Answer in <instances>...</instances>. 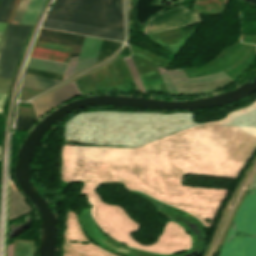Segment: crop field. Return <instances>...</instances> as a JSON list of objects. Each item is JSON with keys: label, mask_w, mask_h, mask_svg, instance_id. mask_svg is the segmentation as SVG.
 Listing matches in <instances>:
<instances>
[{"label": "crop field", "mask_w": 256, "mask_h": 256, "mask_svg": "<svg viewBox=\"0 0 256 256\" xmlns=\"http://www.w3.org/2000/svg\"><path fill=\"white\" fill-rule=\"evenodd\" d=\"M48 17L122 31L121 0H58Z\"/></svg>", "instance_id": "8a807250"}, {"label": "crop field", "mask_w": 256, "mask_h": 256, "mask_svg": "<svg viewBox=\"0 0 256 256\" xmlns=\"http://www.w3.org/2000/svg\"><path fill=\"white\" fill-rule=\"evenodd\" d=\"M30 27L7 24L0 46V77H12L23 41Z\"/></svg>", "instance_id": "ac0d7876"}, {"label": "crop field", "mask_w": 256, "mask_h": 256, "mask_svg": "<svg viewBox=\"0 0 256 256\" xmlns=\"http://www.w3.org/2000/svg\"><path fill=\"white\" fill-rule=\"evenodd\" d=\"M200 15L178 5L152 16L145 28L146 34L200 22Z\"/></svg>", "instance_id": "34b2d1b8"}, {"label": "crop field", "mask_w": 256, "mask_h": 256, "mask_svg": "<svg viewBox=\"0 0 256 256\" xmlns=\"http://www.w3.org/2000/svg\"><path fill=\"white\" fill-rule=\"evenodd\" d=\"M42 27L107 39L121 40L123 32L46 18Z\"/></svg>", "instance_id": "412701ff"}, {"label": "crop field", "mask_w": 256, "mask_h": 256, "mask_svg": "<svg viewBox=\"0 0 256 256\" xmlns=\"http://www.w3.org/2000/svg\"><path fill=\"white\" fill-rule=\"evenodd\" d=\"M79 94L74 82L65 85L41 98L32 101L38 117L42 116L51 108Z\"/></svg>", "instance_id": "f4fd0767"}, {"label": "crop field", "mask_w": 256, "mask_h": 256, "mask_svg": "<svg viewBox=\"0 0 256 256\" xmlns=\"http://www.w3.org/2000/svg\"><path fill=\"white\" fill-rule=\"evenodd\" d=\"M101 40L102 39H99V38H93V37H87V36L84 37V41H83L80 56L77 62V66L75 69V73L83 69H86L96 63Z\"/></svg>", "instance_id": "dd49c442"}, {"label": "crop field", "mask_w": 256, "mask_h": 256, "mask_svg": "<svg viewBox=\"0 0 256 256\" xmlns=\"http://www.w3.org/2000/svg\"><path fill=\"white\" fill-rule=\"evenodd\" d=\"M76 34L41 28L36 39L72 45Z\"/></svg>", "instance_id": "e52e79f7"}, {"label": "crop field", "mask_w": 256, "mask_h": 256, "mask_svg": "<svg viewBox=\"0 0 256 256\" xmlns=\"http://www.w3.org/2000/svg\"><path fill=\"white\" fill-rule=\"evenodd\" d=\"M26 67L45 70V71H51L56 73H62V74H64L66 69L65 63H59V62L42 60V59L31 58V57L28 58Z\"/></svg>", "instance_id": "d8731c3e"}, {"label": "crop field", "mask_w": 256, "mask_h": 256, "mask_svg": "<svg viewBox=\"0 0 256 256\" xmlns=\"http://www.w3.org/2000/svg\"><path fill=\"white\" fill-rule=\"evenodd\" d=\"M24 199L20 194L11 189L10 221L29 213L31 210Z\"/></svg>", "instance_id": "5a996713"}, {"label": "crop field", "mask_w": 256, "mask_h": 256, "mask_svg": "<svg viewBox=\"0 0 256 256\" xmlns=\"http://www.w3.org/2000/svg\"><path fill=\"white\" fill-rule=\"evenodd\" d=\"M47 0H30L20 23L35 25Z\"/></svg>", "instance_id": "3316defc"}, {"label": "crop field", "mask_w": 256, "mask_h": 256, "mask_svg": "<svg viewBox=\"0 0 256 256\" xmlns=\"http://www.w3.org/2000/svg\"><path fill=\"white\" fill-rule=\"evenodd\" d=\"M58 82L59 80H53V79L24 74L22 85L46 89Z\"/></svg>", "instance_id": "28ad6ade"}, {"label": "crop field", "mask_w": 256, "mask_h": 256, "mask_svg": "<svg viewBox=\"0 0 256 256\" xmlns=\"http://www.w3.org/2000/svg\"><path fill=\"white\" fill-rule=\"evenodd\" d=\"M83 37L84 36H81V35L76 36L75 43H74V46H73L72 53H71L70 57H78L79 51H80V48H81V44H82V41H83ZM77 59L78 58H70L69 59L64 79L72 76L75 65H76V62H77Z\"/></svg>", "instance_id": "d1516ede"}, {"label": "crop field", "mask_w": 256, "mask_h": 256, "mask_svg": "<svg viewBox=\"0 0 256 256\" xmlns=\"http://www.w3.org/2000/svg\"><path fill=\"white\" fill-rule=\"evenodd\" d=\"M119 43L108 41V40H102L100 52L98 55L97 63L102 61L104 58L108 57L112 54L114 50L117 49Z\"/></svg>", "instance_id": "22f410ed"}, {"label": "crop field", "mask_w": 256, "mask_h": 256, "mask_svg": "<svg viewBox=\"0 0 256 256\" xmlns=\"http://www.w3.org/2000/svg\"><path fill=\"white\" fill-rule=\"evenodd\" d=\"M37 47H43V48H49V49H55V50H61V51H71V47L69 45H63V44H57V43H51V42H45V41H35V45Z\"/></svg>", "instance_id": "cbeb9de0"}, {"label": "crop field", "mask_w": 256, "mask_h": 256, "mask_svg": "<svg viewBox=\"0 0 256 256\" xmlns=\"http://www.w3.org/2000/svg\"><path fill=\"white\" fill-rule=\"evenodd\" d=\"M36 120L37 119H35V118L17 115L15 129L26 131L31 126V124Z\"/></svg>", "instance_id": "5142ce71"}, {"label": "crop field", "mask_w": 256, "mask_h": 256, "mask_svg": "<svg viewBox=\"0 0 256 256\" xmlns=\"http://www.w3.org/2000/svg\"><path fill=\"white\" fill-rule=\"evenodd\" d=\"M24 73L37 75V76H43V77H49V78H54V79H60V80H62L63 76H64L62 74H56V73L39 71V70L28 69V68L25 69Z\"/></svg>", "instance_id": "d9b57169"}, {"label": "crop field", "mask_w": 256, "mask_h": 256, "mask_svg": "<svg viewBox=\"0 0 256 256\" xmlns=\"http://www.w3.org/2000/svg\"><path fill=\"white\" fill-rule=\"evenodd\" d=\"M14 0H2L0 5V22H5Z\"/></svg>", "instance_id": "733c2abd"}, {"label": "crop field", "mask_w": 256, "mask_h": 256, "mask_svg": "<svg viewBox=\"0 0 256 256\" xmlns=\"http://www.w3.org/2000/svg\"><path fill=\"white\" fill-rule=\"evenodd\" d=\"M125 61H126L128 67H129V70H130V73H131V75H132V78H133V79L135 80V82H136V85H137L138 90L144 91L143 86H142V84H141V82H140V79H139V77H138V74H137V72H136V70H135V67H134V65H133V62H132L131 58H130V57H129V58H126Z\"/></svg>", "instance_id": "4a817a6b"}, {"label": "crop field", "mask_w": 256, "mask_h": 256, "mask_svg": "<svg viewBox=\"0 0 256 256\" xmlns=\"http://www.w3.org/2000/svg\"><path fill=\"white\" fill-rule=\"evenodd\" d=\"M29 0H22L12 22L19 23Z\"/></svg>", "instance_id": "bc2a9ffb"}, {"label": "crop field", "mask_w": 256, "mask_h": 256, "mask_svg": "<svg viewBox=\"0 0 256 256\" xmlns=\"http://www.w3.org/2000/svg\"><path fill=\"white\" fill-rule=\"evenodd\" d=\"M11 79L0 78V93L6 94Z\"/></svg>", "instance_id": "214f88e0"}, {"label": "crop field", "mask_w": 256, "mask_h": 256, "mask_svg": "<svg viewBox=\"0 0 256 256\" xmlns=\"http://www.w3.org/2000/svg\"><path fill=\"white\" fill-rule=\"evenodd\" d=\"M13 243L7 246V256H12Z\"/></svg>", "instance_id": "92a150f3"}, {"label": "crop field", "mask_w": 256, "mask_h": 256, "mask_svg": "<svg viewBox=\"0 0 256 256\" xmlns=\"http://www.w3.org/2000/svg\"><path fill=\"white\" fill-rule=\"evenodd\" d=\"M5 96H6V95H1V94H0V112H1V109H2V104H3V101H4Z\"/></svg>", "instance_id": "dafd665d"}, {"label": "crop field", "mask_w": 256, "mask_h": 256, "mask_svg": "<svg viewBox=\"0 0 256 256\" xmlns=\"http://www.w3.org/2000/svg\"><path fill=\"white\" fill-rule=\"evenodd\" d=\"M5 26H6V24L0 23V30H4V29H5Z\"/></svg>", "instance_id": "00972430"}, {"label": "crop field", "mask_w": 256, "mask_h": 256, "mask_svg": "<svg viewBox=\"0 0 256 256\" xmlns=\"http://www.w3.org/2000/svg\"><path fill=\"white\" fill-rule=\"evenodd\" d=\"M0 32H3V31H0ZM2 35V33H0V36Z\"/></svg>", "instance_id": "a9b5d70f"}, {"label": "crop field", "mask_w": 256, "mask_h": 256, "mask_svg": "<svg viewBox=\"0 0 256 256\" xmlns=\"http://www.w3.org/2000/svg\"><path fill=\"white\" fill-rule=\"evenodd\" d=\"M1 39V38H0Z\"/></svg>", "instance_id": "4177f3b9"}, {"label": "crop field", "mask_w": 256, "mask_h": 256, "mask_svg": "<svg viewBox=\"0 0 256 256\" xmlns=\"http://www.w3.org/2000/svg\"><path fill=\"white\" fill-rule=\"evenodd\" d=\"M1 2V1H0Z\"/></svg>", "instance_id": "730fd06b"}]
</instances>
